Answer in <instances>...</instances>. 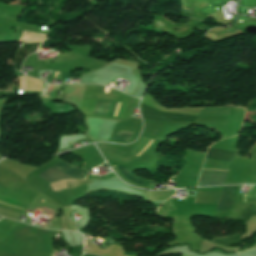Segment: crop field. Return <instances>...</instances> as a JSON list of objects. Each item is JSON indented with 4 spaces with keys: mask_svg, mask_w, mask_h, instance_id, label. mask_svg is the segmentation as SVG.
Returning <instances> with one entry per match:
<instances>
[{
    "mask_svg": "<svg viewBox=\"0 0 256 256\" xmlns=\"http://www.w3.org/2000/svg\"><path fill=\"white\" fill-rule=\"evenodd\" d=\"M0 202L6 203V204H9V205H13V206H16V207H19V208H23V209H25L26 206H27V204L17 202V201H14V200H11V199H8V198H5V197H1V196H0Z\"/></svg>",
    "mask_w": 256,
    "mask_h": 256,
    "instance_id": "obj_9",
    "label": "crop field"
},
{
    "mask_svg": "<svg viewBox=\"0 0 256 256\" xmlns=\"http://www.w3.org/2000/svg\"><path fill=\"white\" fill-rule=\"evenodd\" d=\"M104 102L105 101L94 100L90 113L91 114H99V115H101L102 114V110H103V106H104ZM113 103L114 102H108V101L105 102V106H104V110H103V114L102 115H108V116L110 115ZM115 103H114V106H115ZM114 106H113V109H114ZM113 109H112V112H113ZM112 112H111V115H112Z\"/></svg>",
    "mask_w": 256,
    "mask_h": 256,
    "instance_id": "obj_6",
    "label": "crop field"
},
{
    "mask_svg": "<svg viewBox=\"0 0 256 256\" xmlns=\"http://www.w3.org/2000/svg\"><path fill=\"white\" fill-rule=\"evenodd\" d=\"M54 166H57L65 171H68V172L76 174V175H83V176L87 175V171L72 168L61 161L54 164ZM54 166L49 167L47 170H45L38 176L41 177L47 183L65 179V178H85L82 176H76V175L70 174V173L65 172L57 167H54Z\"/></svg>",
    "mask_w": 256,
    "mask_h": 256,
    "instance_id": "obj_1",
    "label": "crop field"
},
{
    "mask_svg": "<svg viewBox=\"0 0 256 256\" xmlns=\"http://www.w3.org/2000/svg\"><path fill=\"white\" fill-rule=\"evenodd\" d=\"M112 167H114V166H112ZM117 167H118V169L122 172V174L124 175V177H126L127 179H129V180L132 181V182H135V183H138V184H140V185L145 186L143 180L140 179V178L135 177V176L133 175L132 171L126 169L127 167H126V168H125L124 166H117Z\"/></svg>",
    "mask_w": 256,
    "mask_h": 256,
    "instance_id": "obj_7",
    "label": "crop field"
},
{
    "mask_svg": "<svg viewBox=\"0 0 256 256\" xmlns=\"http://www.w3.org/2000/svg\"><path fill=\"white\" fill-rule=\"evenodd\" d=\"M153 141V140H152ZM151 141V142H152ZM151 142L145 147V149L138 155L139 157L141 156V154L146 150V148L151 144Z\"/></svg>",
    "mask_w": 256,
    "mask_h": 256,
    "instance_id": "obj_11",
    "label": "crop field"
},
{
    "mask_svg": "<svg viewBox=\"0 0 256 256\" xmlns=\"http://www.w3.org/2000/svg\"><path fill=\"white\" fill-rule=\"evenodd\" d=\"M22 85H23V77H21V88H22Z\"/></svg>",
    "mask_w": 256,
    "mask_h": 256,
    "instance_id": "obj_12",
    "label": "crop field"
},
{
    "mask_svg": "<svg viewBox=\"0 0 256 256\" xmlns=\"http://www.w3.org/2000/svg\"><path fill=\"white\" fill-rule=\"evenodd\" d=\"M238 186L224 187L217 211L230 210Z\"/></svg>",
    "mask_w": 256,
    "mask_h": 256,
    "instance_id": "obj_3",
    "label": "crop field"
},
{
    "mask_svg": "<svg viewBox=\"0 0 256 256\" xmlns=\"http://www.w3.org/2000/svg\"><path fill=\"white\" fill-rule=\"evenodd\" d=\"M52 44H54V41L47 39L44 40L40 48H49ZM38 51H43V49H39Z\"/></svg>",
    "mask_w": 256,
    "mask_h": 256,
    "instance_id": "obj_10",
    "label": "crop field"
},
{
    "mask_svg": "<svg viewBox=\"0 0 256 256\" xmlns=\"http://www.w3.org/2000/svg\"><path fill=\"white\" fill-rule=\"evenodd\" d=\"M40 43H22L16 56L14 62V68L20 70V65L22 60L30 53L35 52Z\"/></svg>",
    "mask_w": 256,
    "mask_h": 256,
    "instance_id": "obj_4",
    "label": "crop field"
},
{
    "mask_svg": "<svg viewBox=\"0 0 256 256\" xmlns=\"http://www.w3.org/2000/svg\"><path fill=\"white\" fill-rule=\"evenodd\" d=\"M228 172L202 170L198 186L223 185Z\"/></svg>",
    "mask_w": 256,
    "mask_h": 256,
    "instance_id": "obj_2",
    "label": "crop field"
},
{
    "mask_svg": "<svg viewBox=\"0 0 256 256\" xmlns=\"http://www.w3.org/2000/svg\"><path fill=\"white\" fill-rule=\"evenodd\" d=\"M133 132H117L113 136V140L128 142Z\"/></svg>",
    "mask_w": 256,
    "mask_h": 256,
    "instance_id": "obj_8",
    "label": "crop field"
},
{
    "mask_svg": "<svg viewBox=\"0 0 256 256\" xmlns=\"http://www.w3.org/2000/svg\"><path fill=\"white\" fill-rule=\"evenodd\" d=\"M234 154L233 152L210 148L206 159L231 163Z\"/></svg>",
    "mask_w": 256,
    "mask_h": 256,
    "instance_id": "obj_5",
    "label": "crop field"
}]
</instances>
